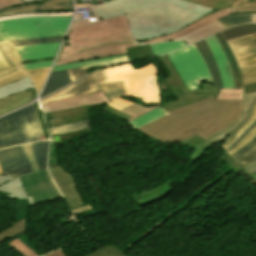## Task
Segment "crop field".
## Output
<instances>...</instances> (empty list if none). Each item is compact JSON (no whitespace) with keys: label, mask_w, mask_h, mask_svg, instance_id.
Listing matches in <instances>:
<instances>
[{"label":"crop field","mask_w":256,"mask_h":256,"mask_svg":"<svg viewBox=\"0 0 256 256\" xmlns=\"http://www.w3.org/2000/svg\"><path fill=\"white\" fill-rule=\"evenodd\" d=\"M93 9L105 19L126 14L138 42L172 33L214 11L182 0H113Z\"/></svg>","instance_id":"1"},{"label":"crop field","mask_w":256,"mask_h":256,"mask_svg":"<svg viewBox=\"0 0 256 256\" xmlns=\"http://www.w3.org/2000/svg\"><path fill=\"white\" fill-rule=\"evenodd\" d=\"M242 100L208 98L199 103L168 111V115L144 127V134L161 141L178 143L197 133L203 138L227 128L242 113Z\"/></svg>","instance_id":"2"},{"label":"crop field","mask_w":256,"mask_h":256,"mask_svg":"<svg viewBox=\"0 0 256 256\" xmlns=\"http://www.w3.org/2000/svg\"><path fill=\"white\" fill-rule=\"evenodd\" d=\"M136 45L126 17L97 22L74 20L55 65L126 54L125 48Z\"/></svg>","instance_id":"3"},{"label":"crop field","mask_w":256,"mask_h":256,"mask_svg":"<svg viewBox=\"0 0 256 256\" xmlns=\"http://www.w3.org/2000/svg\"><path fill=\"white\" fill-rule=\"evenodd\" d=\"M71 17H31L0 22V42L64 35Z\"/></svg>","instance_id":"4"},{"label":"crop field","mask_w":256,"mask_h":256,"mask_svg":"<svg viewBox=\"0 0 256 256\" xmlns=\"http://www.w3.org/2000/svg\"><path fill=\"white\" fill-rule=\"evenodd\" d=\"M43 139L45 138L32 104L0 118V149Z\"/></svg>","instance_id":"5"},{"label":"crop field","mask_w":256,"mask_h":256,"mask_svg":"<svg viewBox=\"0 0 256 256\" xmlns=\"http://www.w3.org/2000/svg\"><path fill=\"white\" fill-rule=\"evenodd\" d=\"M110 82L128 79L132 96L146 103H158V92L154 83L156 69L153 64L133 69L131 63L107 68Z\"/></svg>","instance_id":"6"},{"label":"crop field","mask_w":256,"mask_h":256,"mask_svg":"<svg viewBox=\"0 0 256 256\" xmlns=\"http://www.w3.org/2000/svg\"><path fill=\"white\" fill-rule=\"evenodd\" d=\"M185 85L192 90H200V83L213 84L208 68L194 45L168 54Z\"/></svg>","instance_id":"7"},{"label":"crop field","mask_w":256,"mask_h":256,"mask_svg":"<svg viewBox=\"0 0 256 256\" xmlns=\"http://www.w3.org/2000/svg\"><path fill=\"white\" fill-rule=\"evenodd\" d=\"M160 59L171 76L165 78V81L167 82L168 86L178 99L165 105H162V107L166 111L199 102L210 96L217 98L220 90H218L217 87L209 83H202L200 91L189 92L186 86L184 85L183 81L181 80L180 76L177 74L174 66L169 61L168 57L166 55H163L160 57Z\"/></svg>","instance_id":"8"},{"label":"crop field","mask_w":256,"mask_h":256,"mask_svg":"<svg viewBox=\"0 0 256 256\" xmlns=\"http://www.w3.org/2000/svg\"><path fill=\"white\" fill-rule=\"evenodd\" d=\"M256 100V83L244 86V93H243V113L239 120L225 129L222 132H219L208 139H203L197 134L181 141L180 143L185 144L187 146L195 148V152L192 156V160H196L200 158L203 153L214 145L217 142H221L229 133H231L245 118L251 104Z\"/></svg>","instance_id":"9"},{"label":"crop field","mask_w":256,"mask_h":256,"mask_svg":"<svg viewBox=\"0 0 256 256\" xmlns=\"http://www.w3.org/2000/svg\"><path fill=\"white\" fill-rule=\"evenodd\" d=\"M20 179L23 187L26 188L27 196H32L34 204L62 197L47 170L26 175Z\"/></svg>","instance_id":"10"},{"label":"crop field","mask_w":256,"mask_h":256,"mask_svg":"<svg viewBox=\"0 0 256 256\" xmlns=\"http://www.w3.org/2000/svg\"><path fill=\"white\" fill-rule=\"evenodd\" d=\"M108 82L109 80H108L106 68L97 69L92 73L86 75L85 77L81 78L80 80L74 82L73 84L61 89L60 91L40 101L41 103H43V102L66 98L70 96L99 92L98 90H94L92 85L104 84Z\"/></svg>","instance_id":"11"},{"label":"crop field","mask_w":256,"mask_h":256,"mask_svg":"<svg viewBox=\"0 0 256 256\" xmlns=\"http://www.w3.org/2000/svg\"><path fill=\"white\" fill-rule=\"evenodd\" d=\"M0 168L12 179L33 172L21 146L0 150Z\"/></svg>","instance_id":"12"},{"label":"crop field","mask_w":256,"mask_h":256,"mask_svg":"<svg viewBox=\"0 0 256 256\" xmlns=\"http://www.w3.org/2000/svg\"><path fill=\"white\" fill-rule=\"evenodd\" d=\"M239 68L256 64V33L228 40Z\"/></svg>","instance_id":"13"},{"label":"crop field","mask_w":256,"mask_h":256,"mask_svg":"<svg viewBox=\"0 0 256 256\" xmlns=\"http://www.w3.org/2000/svg\"><path fill=\"white\" fill-rule=\"evenodd\" d=\"M49 170L59 189L65 195L71 209L85 205L77 190L75 180L69 173L60 166Z\"/></svg>","instance_id":"14"},{"label":"crop field","mask_w":256,"mask_h":256,"mask_svg":"<svg viewBox=\"0 0 256 256\" xmlns=\"http://www.w3.org/2000/svg\"><path fill=\"white\" fill-rule=\"evenodd\" d=\"M103 102H109L107 97L103 94V92L70 97L66 99H61L57 101L47 102L41 104L43 112H52L67 108L85 106V105H94Z\"/></svg>","instance_id":"15"},{"label":"crop field","mask_w":256,"mask_h":256,"mask_svg":"<svg viewBox=\"0 0 256 256\" xmlns=\"http://www.w3.org/2000/svg\"><path fill=\"white\" fill-rule=\"evenodd\" d=\"M205 40L208 46L210 47L214 55L215 61L217 63L222 84H223V89H235L229 63L225 57V54L219 42L214 37V35Z\"/></svg>","instance_id":"16"},{"label":"crop field","mask_w":256,"mask_h":256,"mask_svg":"<svg viewBox=\"0 0 256 256\" xmlns=\"http://www.w3.org/2000/svg\"><path fill=\"white\" fill-rule=\"evenodd\" d=\"M231 13H236V10H231L230 8L227 9H222V10H217L211 14H208L207 16L197 20L196 22H193L192 24L188 25L187 27L173 33V34H169L167 36H161L152 40H148V41H144V42H140L139 44H148V43H152V42H159V41H168V40H174L190 31H193L203 25H206L216 19H219L221 17L227 16Z\"/></svg>","instance_id":"17"},{"label":"crop field","mask_w":256,"mask_h":256,"mask_svg":"<svg viewBox=\"0 0 256 256\" xmlns=\"http://www.w3.org/2000/svg\"><path fill=\"white\" fill-rule=\"evenodd\" d=\"M73 8L72 0H54L35 5H24L17 8H10L0 12V17L20 15L25 13H36L37 9H63Z\"/></svg>","instance_id":"18"},{"label":"crop field","mask_w":256,"mask_h":256,"mask_svg":"<svg viewBox=\"0 0 256 256\" xmlns=\"http://www.w3.org/2000/svg\"><path fill=\"white\" fill-rule=\"evenodd\" d=\"M61 43L44 44L35 46H26L15 48L22 62L30 61L34 59H40L45 57L55 56Z\"/></svg>","instance_id":"19"},{"label":"crop field","mask_w":256,"mask_h":256,"mask_svg":"<svg viewBox=\"0 0 256 256\" xmlns=\"http://www.w3.org/2000/svg\"><path fill=\"white\" fill-rule=\"evenodd\" d=\"M1 45H2L5 53L8 55V57L17 66H19L25 73H27L31 77V79H32V81H33V83H34V85H35V87H36V89L39 93V91H40V89H41V87H42V85H43V83H44V81H45V79H46V77L49 73L50 67L49 68H44V69H38V70L25 71L23 69V66H22L21 59H20L19 55L14 50V48L10 45V43L5 42V43H1ZM33 73H35V76H33Z\"/></svg>","instance_id":"20"},{"label":"crop field","mask_w":256,"mask_h":256,"mask_svg":"<svg viewBox=\"0 0 256 256\" xmlns=\"http://www.w3.org/2000/svg\"><path fill=\"white\" fill-rule=\"evenodd\" d=\"M128 61H130V59L127 54L118 55V56L106 57L102 59L60 65V66L54 67L52 71H58V70H64V69H70V68H76V67H82V66H86L87 69L90 70L97 67L108 66V65H113V64H118V63H123Z\"/></svg>","instance_id":"21"},{"label":"crop field","mask_w":256,"mask_h":256,"mask_svg":"<svg viewBox=\"0 0 256 256\" xmlns=\"http://www.w3.org/2000/svg\"><path fill=\"white\" fill-rule=\"evenodd\" d=\"M31 102V91L17 93L0 100V115Z\"/></svg>","instance_id":"22"},{"label":"crop field","mask_w":256,"mask_h":256,"mask_svg":"<svg viewBox=\"0 0 256 256\" xmlns=\"http://www.w3.org/2000/svg\"><path fill=\"white\" fill-rule=\"evenodd\" d=\"M71 84L67 70L52 72L41 98ZM40 98V99H41Z\"/></svg>","instance_id":"23"},{"label":"crop field","mask_w":256,"mask_h":256,"mask_svg":"<svg viewBox=\"0 0 256 256\" xmlns=\"http://www.w3.org/2000/svg\"><path fill=\"white\" fill-rule=\"evenodd\" d=\"M223 29H225V28L221 25V23L218 20H216V21H214L206 26H203L193 32H190L176 40H185L188 43L192 44L204 37H207V36L214 34L220 30H223Z\"/></svg>","instance_id":"24"},{"label":"crop field","mask_w":256,"mask_h":256,"mask_svg":"<svg viewBox=\"0 0 256 256\" xmlns=\"http://www.w3.org/2000/svg\"><path fill=\"white\" fill-rule=\"evenodd\" d=\"M195 45H196L198 51L200 52L201 56L203 57V59L205 60L207 66L209 68V71H210V74H211V76L213 78L214 84L216 86H218L219 89H222V85H221L218 69H217V66L215 64L214 58L212 56V53H211L210 49L208 48L207 44L203 40V41H201V42H199V43H197Z\"/></svg>","instance_id":"25"},{"label":"crop field","mask_w":256,"mask_h":256,"mask_svg":"<svg viewBox=\"0 0 256 256\" xmlns=\"http://www.w3.org/2000/svg\"><path fill=\"white\" fill-rule=\"evenodd\" d=\"M93 87L94 89L102 90L109 99L121 96H131L127 80Z\"/></svg>","instance_id":"26"},{"label":"crop field","mask_w":256,"mask_h":256,"mask_svg":"<svg viewBox=\"0 0 256 256\" xmlns=\"http://www.w3.org/2000/svg\"><path fill=\"white\" fill-rule=\"evenodd\" d=\"M216 38L218 39V41L220 42L225 54H226V57L230 63V67H231V71H232V74H233V78H234V83H235V87L236 89H242V82H241V77H240V73H239V70H238V66H237V63L232 55V52L230 50V48L228 47L225 39L223 38L221 32L218 33V34H215Z\"/></svg>","instance_id":"27"},{"label":"crop field","mask_w":256,"mask_h":256,"mask_svg":"<svg viewBox=\"0 0 256 256\" xmlns=\"http://www.w3.org/2000/svg\"><path fill=\"white\" fill-rule=\"evenodd\" d=\"M0 191L9 193L11 196H13L15 199L18 198H27L25 191L23 190V187L21 185L20 179H13L6 184L0 186ZM29 200V203L32 204V198H27Z\"/></svg>","instance_id":"28"},{"label":"crop field","mask_w":256,"mask_h":256,"mask_svg":"<svg viewBox=\"0 0 256 256\" xmlns=\"http://www.w3.org/2000/svg\"><path fill=\"white\" fill-rule=\"evenodd\" d=\"M32 149L40 170L46 169V160L49 148V141L32 143Z\"/></svg>","instance_id":"29"},{"label":"crop field","mask_w":256,"mask_h":256,"mask_svg":"<svg viewBox=\"0 0 256 256\" xmlns=\"http://www.w3.org/2000/svg\"><path fill=\"white\" fill-rule=\"evenodd\" d=\"M89 128H90L89 120H85V121H80V122L58 126V127H49L48 130L50 135H56L61 133L85 130Z\"/></svg>","instance_id":"30"},{"label":"crop field","mask_w":256,"mask_h":256,"mask_svg":"<svg viewBox=\"0 0 256 256\" xmlns=\"http://www.w3.org/2000/svg\"><path fill=\"white\" fill-rule=\"evenodd\" d=\"M188 44L184 41L168 42V43H155L151 44V48L155 56L162 55L165 53L173 52L181 47L187 46Z\"/></svg>","instance_id":"31"},{"label":"crop field","mask_w":256,"mask_h":256,"mask_svg":"<svg viewBox=\"0 0 256 256\" xmlns=\"http://www.w3.org/2000/svg\"><path fill=\"white\" fill-rule=\"evenodd\" d=\"M256 32V24H246L243 26H236L222 31L226 40Z\"/></svg>","instance_id":"32"},{"label":"crop field","mask_w":256,"mask_h":256,"mask_svg":"<svg viewBox=\"0 0 256 256\" xmlns=\"http://www.w3.org/2000/svg\"><path fill=\"white\" fill-rule=\"evenodd\" d=\"M166 112L163 111L160 107L154 110H151L143 115H141L140 117L134 119L133 121H131V125L133 126V128H138L158 117H161L163 115H165Z\"/></svg>","instance_id":"33"},{"label":"crop field","mask_w":256,"mask_h":256,"mask_svg":"<svg viewBox=\"0 0 256 256\" xmlns=\"http://www.w3.org/2000/svg\"><path fill=\"white\" fill-rule=\"evenodd\" d=\"M219 21L225 28L245 22H251V13L232 14L222 19H219Z\"/></svg>","instance_id":"34"},{"label":"crop field","mask_w":256,"mask_h":256,"mask_svg":"<svg viewBox=\"0 0 256 256\" xmlns=\"http://www.w3.org/2000/svg\"><path fill=\"white\" fill-rule=\"evenodd\" d=\"M127 51L131 61L154 56L149 45L128 48Z\"/></svg>","instance_id":"35"},{"label":"crop field","mask_w":256,"mask_h":256,"mask_svg":"<svg viewBox=\"0 0 256 256\" xmlns=\"http://www.w3.org/2000/svg\"><path fill=\"white\" fill-rule=\"evenodd\" d=\"M186 1L207 6L213 9H222V8L230 7L235 0H186Z\"/></svg>","instance_id":"36"},{"label":"crop field","mask_w":256,"mask_h":256,"mask_svg":"<svg viewBox=\"0 0 256 256\" xmlns=\"http://www.w3.org/2000/svg\"><path fill=\"white\" fill-rule=\"evenodd\" d=\"M62 38H63V36H57V37H50V38L13 41V42H10V43L12 44L13 47H17V46H25V45H35V44H43V43L61 42Z\"/></svg>","instance_id":"37"},{"label":"crop field","mask_w":256,"mask_h":256,"mask_svg":"<svg viewBox=\"0 0 256 256\" xmlns=\"http://www.w3.org/2000/svg\"><path fill=\"white\" fill-rule=\"evenodd\" d=\"M25 224H26V219H24L18 223H15L8 229L0 232V242L4 241L6 239H9L12 236H15V235L25 231Z\"/></svg>","instance_id":"38"},{"label":"crop field","mask_w":256,"mask_h":256,"mask_svg":"<svg viewBox=\"0 0 256 256\" xmlns=\"http://www.w3.org/2000/svg\"><path fill=\"white\" fill-rule=\"evenodd\" d=\"M18 69L6 58L0 48V78L15 73L19 71Z\"/></svg>","instance_id":"39"},{"label":"crop field","mask_w":256,"mask_h":256,"mask_svg":"<svg viewBox=\"0 0 256 256\" xmlns=\"http://www.w3.org/2000/svg\"><path fill=\"white\" fill-rule=\"evenodd\" d=\"M84 256H127L124 253H122L119 249H117L112 244L105 246L101 249H98L96 251H93L89 254H86Z\"/></svg>","instance_id":"40"},{"label":"crop field","mask_w":256,"mask_h":256,"mask_svg":"<svg viewBox=\"0 0 256 256\" xmlns=\"http://www.w3.org/2000/svg\"><path fill=\"white\" fill-rule=\"evenodd\" d=\"M230 8H236L238 12L256 13V0H236Z\"/></svg>","instance_id":"41"},{"label":"crop field","mask_w":256,"mask_h":256,"mask_svg":"<svg viewBox=\"0 0 256 256\" xmlns=\"http://www.w3.org/2000/svg\"><path fill=\"white\" fill-rule=\"evenodd\" d=\"M255 119H256V105H255L249 119L233 134V136L226 142V144L224 146H222V148L225 150L232 143V141L239 134H241Z\"/></svg>","instance_id":"42"},{"label":"crop field","mask_w":256,"mask_h":256,"mask_svg":"<svg viewBox=\"0 0 256 256\" xmlns=\"http://www.w3.org/2000/svg\"><path fill=\"white\" fill-rule=\"evenodd\" d=\"M244 85L256 82V65L240 69Z\"/></svg>","instance_id":"43"},{"label":"crop field","mask_w":256,"mask_h":256,"mask_svg":"<svg viewBox=\"0 0 256 256\" xmlns=\"http://www.w3.org/2000/svg\"><path fill=\"white\" fill-rule=\"evenodd\" d=\"M158 107V106H156ZM156 107H152V108H146V107H143V106H140V105H137V104H134L130 107H127L121 111H124L126 113H128L129 115H131L133 118L130 119L129 121L133 120L134 118L140 116L141 114H143L144 112L150 110V109H153V108H156Z\"/></svg>","instance_id":"44"},{"label":"crop field","mask_w":256,"mask_h":256,"mask_svg":"<svg viewBox=\"0 0 256 256\" xmlns=\"http://www.w3.org/2000/svg\"><path fill=\"white\" fill-rule=\"evenodd\" d=\"M7 244L11 245L15 250H17L23 256H37L33 253L29 248H27L23 243L19 240L14 239Z\"/></svg>","instance_id":"45"},{"label":"crop field","mask_w":256,"mask_h":256,"mask_svg":"<svg viewBox=\"0 0 256 256\" xmlns=\"http://www.w3.org/2000/svg\"><path fill=\"white\" fill-rule=\"evenodd\" d=\"M221 159L223 161H225L227 163V165L229 166V168H231L236 173L245 170L236 160L231 158L227 152H225V154L222 155Z\"/></svg>","instance_id":"46"},{"label":"crop field","mask_w":256,"mask_h":256,"mask_svg":"<svg viewBox=\"0 0 256 256\" xmlns=\"http://www.w3.org/2000/svg\"><path fill=\"white\" fill-rule=\"evenodd\" d=\"M243 90H222L219 99H242Z\"/></svg>","instance_id":"47"},{"label":"crop field","mask_w":256,"mask_h":256,"mask_svg":"<svg viewBox=\"0 0 256 256\" xmlns=\"http://www.w3.org/2000/svg\"><path fill=\"white\" fill-rule=\"evenodd\" d=\"M255 147H256V136L231 156L237 160L238 158H240L241 156H243L244 154H246L247 152H249Z\"/></svg>","instance_id":"48"},{"label":"crop field","mask_w":256,"mask_h":256,"mask_svg":"<svg viewBox=\"0 0 256 256\" xmlns=\"http://www.w3.org/2000/svg\"><path fill=\"white\" fill-rule=\"evenodd\" d=\"M25 77H27V75L24 72L19 71L15 74H12L10 76H7L5 78L0 79V86H3L5 84L14 82L16 80H19V79H22V78H25Z\"/></svg>","instance_id":"49"},{"label":"crop field","mask_w":256,"mask_h":256,"mask_svg":"<svg viewBox=\"0 0 256 256\" xmlns=\"http://www.w3.org/2000/svg\"><path fill=\"white\" fill-rule=\"evenodd\" d=\"M243 167L256 161V148L237 160Z\"/></svg>","instance_id":"50"},{"label":"crop field","mask_w":256,"mask_h":256,"mask_svg":"<svg viewBox=\"0 0 256 256\" xmlns=\"http://www.w3.org/2000/svg\"><path fill=\"white\" fill-rule=\"evenodd\" d=\"M52 15H73V13L25 14V15H20V16H12V17L0 18V21L9 20V19L25 18V17H31V16H52Z\"/></svg>","instance_id":"51"},{"label":"crop field","mask_w":256,"mask_h":256,"mask_svg":"<svg viewBox=\"0 0 256 256\" xmlns=\"http://www.w3.org/2000/svg\"><path fill=\"white\" fill-rule=\"evenodd\" d=\"M69 75L72 79V82L78 80L79 78L83 77L87 74V70L85 67L83 68H76V69H70L68 70Z\"/></svg>","instance_id":"52"},{"label":"crop field","mask_w":256,"mask_h":256,"mask_svg":"<svg viewBox=\"0 0 256 256\" xmlns=\"http://www.w3.org/2000/svg\"><path fill=\"white\" fill-rule=\"evenodd\" d=\"M22 147H23V149H24V151H25V153H26V155H27V157H28V159H29V161H30L34 171L35 172L38 171L39 169H38L35 157L33 155V152H32V149H31V145L28 144V145H24Z\"/></svg>","instance_id":"53"},{"label":"crop field","mask_w":256,"mask_h":256,"mask_svg":"<svg viewBox=\"0 0 256 256\" xmlns=\"http://www.w3.org/2000/svg\"><path fill=\"white\" fill-rule=\"evenodd\" d=\"M110 102L111 103H107V104H109V105H111V106H113V107H115L119 110L133 104V103H130V102L124 100L123 98L111 99Z\"/></svg>","instance_id":"54"},{"label":"crop field","mask_w":256,"mask_h":256,"mask_svg":"<svg viewBox=\"0 0 256 256\" xmlns=\"http://www.w3.org/2000/svg\"><path fill=\"white\" fill-rule=\"evenodd\" d=\"M256 135V128L251 131L242 141H240L232 150H230L228 153L231 155L235 151H237L239 148H241L243 145H245L248 141H250L254 136Z\"/></svg>","instance_id":"55"},{"label":"crop field","mask_w":256,"mask_h":256,"mask_svg":"<svg viewBox=\"0 0 256 256\" xmlns=\"http://www.w3.org/2000/svg\"><path fill=\"white\" fill-rule=\"evenodd\" d=\"M54 60L51 61H45V62H40V63H33V64H25L23 65L25 70H30V69H38V68H43V67H49L52 65Z\"/></svg>","instance_id":"56"},{"label":"crop field","mask_w":256,"mask_h":256,"mask_svg":"<svg viewBox=\"0 0 256 256\" xmlns=\"http://www.w3.org/2000/svg\"><path fill=\"white\" fill-rule=\"evenodd\" d=\"M21 4H24L22 0H0V11L7 7Z\"/></svg>","instance_id":"57"},{"label":"crop field","mask_w":256,"mask_h":256,"mask_svg":"<svg viewBox=\"0 0 256 256\" xmlns=\"http://www.w3.org/2000/svg\"><path fill=\"white\" fill-rule=\"evenodd\" d=\"M256 127V121L255 123L249 128L247 129L234 143L233 145L227 149L226 151L228 152L230 149H232L241 139H243L252 129H254Z\"/></svg>","instance_id":"58"},{"label":"crop field","mask_w":256,"mask_h":256,"mask_svg":"<svg viewBox=\"0 0 256 256\" xmlns=\"http://www.w3.org/2000/svg\"><path fill=\"white\" fill-rule=\"evenodd\" d=\"M255 103H256V101L253 103V105H252V107H251V109H250L248 115L246 116L245 120H244L231 134H229V135L221 142L220 146L224 145V143L232 136V134L248 119V117H249V115H250V113H251V110H252L253 106L255 105Z\"/></svg>","instance_id":"59"},{"label":"crop field","mask_w":256,"mask_h":256,"mask_svg":"<svg viewBox=\"0 0 256 256\" xmlns=\"http://www.w3.org/2000/svg\"><path fill=\"white\" fill-rule=\"evenodd\" d=\"M244 168L246 169L245 172L247 174H251L253 172H256V162H254V163H252V164H250V165H248V166H246Z\"/></svg>","instance_id":"60"},{"label":"crop field","mask_w":256,"mask_h":256,"mask_svg":"<svg viewBox=\"0 0 256 256\" xmlns=\"http://www.w3.org/2000/svg\"><path fill=\"white\" fill-rule=\"evenodd\" d=\"M87 210H91L90 205L79 207V208L73 209L71 211L73 214H75V213H79V212H83V211H87Z\"/></svg>","instance_id":"61"},{"label":"crop field","mask_w":256,"mask_h":256,"mask_svg":"<svg viewBox=\"0 0 256 256\" xmlns=\"http://www.w3.org/2000/svg\"><path fill=\"white\" fill-rule=\"evenodd\" d=\"M8 180H10V177L9 175H3V176H0V185L7 182Z\"/></svg>","instance_id":"62"},{"label":"crop field","mask_w":256,"mask_h":256,"mask_svg":"<svg viewBox=\"0 0 256 256\" xmlns=\"http://www.w3.org/2000/svg\"><path fill=\"white\" fill-rule=\"evenodd\" d=\"M45 256H65V255L63 254L61 249H59V250H57V251H55V252H53V253H51L49 255H45Z\"/></svg>","instance_id":"63"},{"label":"crop field","mask_w":256,"mask_h":256,"mask_svg":"<svg viewBox=\"0 0 256 256\" xmlns=\"http://www.w3.org/2000/svg\"><path fill=\"white\" fill-rule=\"evenodd\" d=\"M252 22H256V14L252 13Z\"/></svg>","instance_id":"64"},{"label":"crop field","mask_w":256,"mask_h":256,"mask_svg":"<svg viewBox=\"0 0 256 256\" xmlns=\"http://www.w3.org/2000/svg\"><path fill=\"white\" fill-rule=\"evenodd\" d=\"M251 178H253L256 181V173L249 175Z\"/></svg>","instance_id":"65"},{"label":"crop field","mask_w":256,"mask_h":256,"mask_svg":"<svg viewBox=\"0 0 256 256\" xmlns=\"http://www.w3.org/2000/svg\"><path fill=\"white\" fill-rule=\"evenodd\" d=\"M0 175H2V172H1V170H0Z\"/></svg>","instance_id":"66"}]
</instances>
